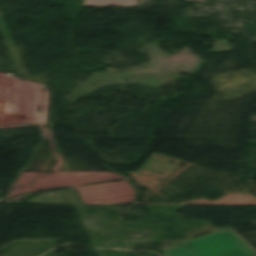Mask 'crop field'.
Here are the masks:
<instances>
[{"instance_id":"8a807250","label":"crop field","mask_w":256,"mask_h":256,"mask_svg":"<svg viewBox=\"0 0 256 256\" xmlns=\"http://www.w3.org/2000/svg\"><path fill=\"white\" fill-rule=\"evenodd\" d=\"M190 245L203 256H256L253 248L235 230H220L171 246L164 251Z\"/></svg>"},{"instance_id":"ac0d7876","label":"crop field","mask_w":256,"mask_h":256,"mask_svg":"<svg viewBox=\"0 0 256 256\" xmlns=\"http://www.w3.org/2000/svg\"><path fill=\"white\" fill-rule=\"evenodd\" d=\"M164 256H202L190 246L167 251Z\"/></svg>"}]
</instances>
